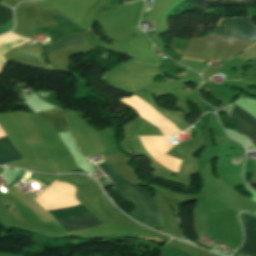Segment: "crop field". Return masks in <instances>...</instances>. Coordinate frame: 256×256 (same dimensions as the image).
Segmentation results:
<instances>
[{"instance_id":"obj_1","label":"crop field","mask_w":256,"mask_h":256,"mask_svg":"<svg viewBox=\"0 0 256 256\" xmlns=\"http://www.w3.org/2000/svg\"><path fill=\"white\" fill-rule=\"evenodd\" d=\"M98 167L134 205L139 221L149 226H163L160 211L147 191L130 184L108 163L100 164Z\"/></svg>"},{"instance_id":"obj_5","label":"crop field","mask_w":256,"mask_h":256,"mask_svg":"<svg viewBox=\"0 0 256 256\" xmlns=\"http://www.w3.org/2000/svg\"><path fill=\"white\" fill-rule=\"evenodd\" d=\"M37 115L53 125L58 132L69 131L65 115L56 108L37 113Z\"/></svg>"},{"instance_id":"obj_8","label":"crop field","mask_w":256,"mask_h":256,"mask_svg":"<svg viewBox=\"0 0 256 256\" xmlns=\"http://www.w3.org/2000/svg\"><path fill=\"white\" fill-rule=\"evenodd\" d=\"M11 20H13V10L10 8H7L5 6H1V8H0V26L4 25L5 23H7ZM12 29H13V21L0 27V34L10 31Z\"/></svg>"},{"instance_id":"obj_2","label":"crop field","mask_w":256,"mask_h":256,"mask_svg":"<svg viewBox=\"0 0 256 256\" xmlns=\"http://www.w3.org/2000/svg\"><path fill=\"white\" fill-rule=\"evenodd\" d=\"M54 219L88 212L81 204L48 211ZM65 232L91 228L103 223L91 212L56 220Z\"/></svg>"},{"instance_id":"obj_4","label":"crop field","mask_w":256,"mask_h":256,"mask_svg":"<svg viewBox=\"0 0 256 256\" xmlns=\"http://www.w3.org/2000/svg\"><path fill=\"white\" fill-rule=\"evenodd\" d=\"M239 219L242 225L256 228L255 218L240 214ZM247 226H243L245 240L243 246L237 252L249 256H256V229Z\"/></svg>"},{"instance_id":"obj_7","label":"crop field","mask_w":256,"mask_h":256,"mask_svg":"<svg viewBox=\"0 0 256 256\" xmlns=\"http://www.w3.org/2000/svg\"><path fill=\"white\" fill-rule=\"evenodd\" d=\"M231 115L239 120V124L237 125L238 129L246 134L256 146V122L243 116L234 109Z\"/></svg>"},{"instance_id":"obj_3","label":"crop field","mask_w":256,"mask_h":256,"mask_svg":"<svg viewBox=\"0 0 256 256\" xmlns=\"http://www.w3.org/2000/svg\"><path fill=\"white\" fill-rule=\"evenodd\" d=\"M220 20L218 26H220ZM221 26H225L224 35L249 41L256 42V28L250 24L248 19L244 18H234V19H224Z\"/></svg>"},{"instance_id":"obj_9","label":"crop field","mask_w":256,"mask_h":256,"mask_svg":"<svg viewBox=\"0 0 256 256\" xmlns=\"http://www.w3.org/2000/svg\"><path fill=\"white\" fill-rule=\"evenodd\" d=\"M83 41L80 37H77V36H73V35H70L66 38H64L62 41H60L59 43L45 49V52L47 53V55L61 49V48H64L66 46H70V45H77V44H82Z\"/></svg>"},{"instance_id":"obj_6","label":"crop field","mask_w":256,"mask_h":256,"mask_svg":"<svg viewBox=\"0 0 256 256\" xmlns=\"http://www.w3.org/2000/svg\"><path fill=\"white\" fill-rule=\"evenodd\" d=\"M23 160L8 137L0 139V164Z\"/></svg>"}]
</instances>
